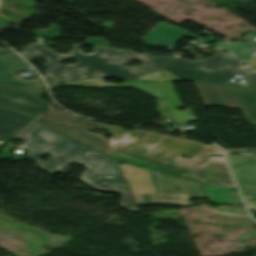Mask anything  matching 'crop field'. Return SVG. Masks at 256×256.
I'll return each mask as SVG.
<instances>
[{
	"label": "crop field",
	"mask_w": 256,
	"mask_h": 256,
	"mask_svg": "<svg viewBox=\"0 0 256 256\" xmlns=\"http://www.w3.org/2000/svg\"><path fill=\"white\" fill-rule=\"evenodd\" d=\"M16 139L26 141L21 148L30 150L28 158L37 161L45 153L54 155L41 169L53 174L64 172L74 161L88 166L79 178L97 190L113 191L124 196L120 207L137 211L117 161L109 159L69 137L35 121ZM138 212V211H137Z\"/></svg>",
	"instance_id": "crop-field-1"
},
{
	"label": "crop field",
	"mask_w": 256,
	"mask_h": 256,
	"mask_svg": "<svg viewBox=\"0 0 256 256\" xmlns=\"http://www.w3.org/2000/svg\"><path fill=\"white\" fill-rule=\"evenodd\" d=\"M102 127L111 129L108 134L112 135L109 140L114 152L112 158L185 178L200 163L179 158L181 154L187 155L190 153L195 160H203L209 153L221 154L216 146L203 145L197 141L168 136L150 155H147L165 135L144 131L146 133L143 137L129 146L143 131L134 130V132H129L106 124H103ZM188 162L189 164H187Z\"/></svg>",
	"instance_id": "crop-field-2"
},
{
	"label": "crop field",
	"mask_w": 256,
	"mask_h": 256,
	"mask_svg": "<svg viewBox=\"0 0 256 256\" xmlns=\"http://www.w3.org/2000/svg\"><path fill=\"white\" fill-rule=\"evenodd\" d=\"M45 45H31L23 48L20 53L26 59L32 61L39 57H46L49 61L43 66L46 72L60 81L88 78L94 76L116 77L134 79L136 77L163 69L151 59L137 54L131 50H117L112 48H94L93 54L80 53V44L74 45L68 55H60L44 48ZM76 59L78 63L71 67L59 64L60 61ZM138 60L143 64L140 67L121 66L132 60ZM63 72L69 73L62 76Z\"/></svg>",
	"instance_id": "crop-field-3"
},
{
	"label": "crop field",
	"mask_w": 256,
	"mask_h": 256,
	"mask_svg": "<svg viewBox=\"0 0 256 256\" xmlns=\"http://www.w3.org/2000/svg\"><path fill=\"white\" fill-rule=\"evenodd\" d=\"M118 163L137 205H185L189 198L206 197L199 182Z\"/></svg>",
	"instance_id": "crop-field-4"
},
{
	"label": "crop field",
	"mask_w": 256,
	"mask_h": 256,
	"mask_svg": "<svg viewBox=\"0 0 256 256\" xmlns=\"http://www.w3.org/2000/svg\"><path fill=\"white\" fill-rule=\"evenodd\" d=\"M196 60L179 59L170 56L154 57L149 52L143 53L155 62L184 79L213 81L227 84L233 75L244 65L220 50L213 48L214 59L205 60L194 52L192 47L185 48Z\"/></svg>",
	"instance_id": "crop-field-5"
},
{
	"label": "crop field",
	"mask_w": 256,
	"mask_h": 256,
	"mask_svg": "<svg viewBox=\"0 0 256 256\" xmlns=\"http://www.w3.org/2000/svg\"><path fill=\"white\" fill-rule=\"evenodd\" d=\"M38 120L109 157L113 154L104 135L89 132L92 128L101 127L103 123L73 116L54 106Z\"/></svg>",
	"instance_id": "crop-field-6"
},
{
	"label": "crop field",
	"mask_w": 256,
	"mask_h": 256,
	"mask_svg": "<svg viewBox=\"0 0 256 256\" xmlns=\"http://www.w3.org/2000/svg\"><path fill=\"white\" fill-rule=\"evenodd\" d=\"M104 78H93L86 80L73 81L63 84H74V85H91V86H103V87H132L135 88L144 94L150 95L156 98V101L159 105L156 109H162L166 117H171L177 121L180 125L187 124L190 120H195L192 114V107H189V110L185 111H176L177 108L182 107L181 103L174 91V87L171 82H164V88L167 92L170 104H168L163 89L160 85L161 82H140L125 80L124 84H103Z\"/></svg>",
	"instance_id": "crop-field-7"
},
{
	"label": "crop field",
	"mask_w": 256,
	"mask_h": 256,
	"mask_svg": "<svg viewBox=\"0 0 256 256\" xmlns=\"http://www.w3.org/2000/svg\"><path fill=\"white\" fill-rule=\"evenodd\" d=\"M191 84L198 89L205 105H220L238 108L242 111V114L248 123L251 125L255 124L250 114L246 110L235 87L196 81H193Z\"/></svg>",
	"instance_id": "crop-field-8"
},
{
	"label": "crop field",
	"mask_w": 256,
	"mask_h": 256,
	"mask_svg": "<svg viewBox=\"0 0 256 256\" xmlns=\"http://www.w3.org/2000/svg\"><path fill=\"white\" fill-rule=\"evenodd\" d=\"M3 49L6 48H0V50ZM27 67L30 66L13 52L0 56V83L6 84L37 98H41L42 94L45 92L41 78H35L19 83H12L4 78L6 74Z\"/></svg>",
	"instance_id": "crop-field-9"
},
{
	"label": "crop field",
	"mask_w": 256,
	"mask_h": 256,
	"mask_svg": "<svg viewBox=\"0 0 256 256\" xmlns=\"http://www.w3.org/2000/svg\"><path fill=\"white\" fill-rule=\"evenodd\" d=\"M20 91V90H19ZM0 84V106L22 111L36 118L50 103ZM33 113L31 115L30 113Z\"/></svg>",
	"instance_id": "crop-field-10"
},
{
	"label": "crop field",
	"mask_w": 256,
	"mask_h": 256,
	"mask_svg": "<svg viewBox=\"0 0 256 256\" xmlns=\"http://www.w3.org/2000/svg\"><path fill=\"white\" fill-rule=\"evenodd\" d=\"M189 178L235 189L234 182L222 157L208 158Z\"/></svg>",
	"instance_id": "crop-field-11"
},
{
	"label": "crop field",
	"mask_w": 256,
	"mask_h": 256,
	"mask_svg": "<svg viewBox=\"0 0 256 256\" xmlns=\"http://www.w3.org/2000/svg\"><path fill=\"white\" fill-rule=\"evenodd\" d=\"M242 192L256 196V157L227 155Z\"/></svg>",
	"instance_id": "crop-field-12"
},
{
	"label": "crop field",
	"mask_w": 256,
	"mask_h": 256,
	"mask_svg": "<svg viewBox=\"0 0 256 256\" xmlns=\"http://www.w3.org/2000/svg\"><path fill=\"white\" fill-rule=\"evenodd\" d=\"M32 120L33 119L22 113L0 108V139H13L28 126Z\"/></svg>",
	"instance_id": "crop-field-13"
},
{
	"label": "crop field",
	"mask_w": 256,
	"mask_h": 256,
	"mask_svg": "<svg viewBox=\"0 0 256 256\" xmlns=\"http://www.w3.org/2000/svg\"><path fill=\"white\" fill-rule=\"evenodd\" d=\"M187 32L189 31L167 22H161L141 41L146 44L172 46L171 43L174 40L182 38V36Z\"/></svg>",
	"instance_id": "crop-field-14"
},
{
	"label": "crop field",
	"mask_w": 256,
	"mask_h": 256,
	"mask_svg": "<svg viewBox=\"0 0 256 256\" xmlns=\"http://www.w3.org/2000/svg\"><path fill=\"white\" fill-rule=\"evenodd\" d=\"M218 48L228 51V54L248 64L249 60L256 51V42H223Z\"/></svg>",
	"instance_id": "crop-field-15"
},
{
	"label": "crop field",
	"mask_w": 256,
	"mask_h": 256,
	"mask_svg": "<svg viewBox=\"0 0 256 256\" xmlns=\"http://www.w3.org/2000/svg\"><path fill=\"white\" fill-rule=\"evenodd\" d=\"M203 184V183H202ZM206 196L215 204H242L237 193L203 184Z\"/></svg>",
	"instance_id": "crop-field-16"
},
{
	"label": "crop field",
	"mask_w": 256,
	"mask_h": 256,
	"mask_svg": "<svg viewBox=\"0 0 256 256\" xmlns=\"http://www.w3.org/2000/svg\"><path fill=\"white\" fill-rule=\"evenodd\" d=\"M239 94L241 95L244 104L256 122V89L236 87ZM227 152H245V153H256V148L252 149H228Z\"/></svg>",
	"instance_id": "crop-field-17"
},
{
	"label": "crop field",
	"mask_w": 256,
	"mask_h": 256,
	"mask_svg": "<svg viewBox=\"0 0 256 256\" xmlns=\"http://www.w3.org/2000/svg\"><path fill=\"white\" fill-rule=\"evenodd\" d=\"M136 79L148 80V81H160V80H172V79H180V78L163 69V70H160Z\"/></svg>",
	"instance_id": "crop-field-18"
},
{
	"label": "crop field",
	"mask_w": 256,
	"mask_h": 256,
	"mask_svg": "<svg viewBox=\"0 0 256 256\" xmlns=\"http://www.w3.org/2000/svg\"><path fill=\"white\" fill-rule=\"evenodd\" d=\"M50 26H51V29L34 31V32H31V33L36 35V36H48L49 38H58V37H60L59 31H58L56 25L53 24V25H50Z\"/></svg>",
	"instance_id": "crop-field-19"
},
{
	"label": "crop field",
	"mask_w": 256,
	"mask_h": 256,
	"mask_svg": "<svg viewBox=\"0 0 256 256\" xmlns=\"http://www.w3.org/2000/svg\"><path fill=\"white\" fill-rule=\"evenodd\" d=\"M245 79H246V84H232V85H240V86H248V87L256 88V72H253L249 76L245 77Z\"/></svg>",
	"instance_id": "crop-field-20"
},
{
	"label": "crop field",
	"mask_w": 256,
	"mask_h": 256,
	"mask_svg": "<svg viewBox=\"0 0 256 256\" xmlns=\"http://www.w3.org/2000/svg\"><path fill=\"white\" fill-rule=\"evenodd\" d=\"M86 44L98 45V46H110V43L107 40L93 39V38H87V43Z\"/></svg>",
	"instance_id": "crop-field-21"
},
{
	"label": "crop field",
	"mask_w": 256,
	"mask_h": 256,
	"mask_svg": "<svg viewBox=\"0 0 256 256\" xmlns=\"http://www.w3.org/2000/svg\"><path fill=\"white\" fill-rule=\"evenodd\" d=\"M246 204L249 208L256 210V197L243 194Z\"/></svg>",
	"instance_id": "crop-field-22"
},
{
	"label": "crop field",
	"mask_w": 256,
	"mask_h": 256,
	"mask_svg": "<svg viewBox=\"0 0 256 256\" xmlns=\"http://www.w3.org/2000/svg\"><path fill=\"white\" fill-rule=\"evenodd\" d=\"M44 77L48 81L49 86L63 85L60 81H58L56 78L52 77L49 74L45 75Z\"/></svg>",
	"instance_id": "crop-field-23"
},
{
	"label": "crop field",
	"mask_w": 256,
	"mask_h": 256,
	"mask_svg": "<svg viewBox=\"0 0 256 256\" xmlns=\"http://www.w3.org/2000/svg\"><path fill=\"white\" fill-rule=\"evenodd\" d=\"M14 145H12L10 143V145L3 151L1 152V155H0V160H5V159H11V157H9V150L13 147Z\"/></svg>",
	"instance_id": "crop-field-24"
},
{
	"label": "crop field",
	"mask_w": 256,
	"mask_h": 256,
	"mask_svg": "<svg viewBox=\"0 0 256 256\" xmlns=\"http://www.w3.org/2000/svg\"><path fill=\"white\" fill-rule=\"evenodd\" d=\"M20 71H22V70H20ZM5 78L10 80V81H12V82H18V81H22L23 80L22 78H19L17 75H15V73H12L10 75H6Z\"/></svg>",
	"instance_id": "crop-field-25"
},
{
	"label": "crop field",
	"mask_w": 256,
	"mask_h": 256,
	"mask_svg": "<svg viewBox=\"0 0 256 256\" xmlns=\"http://www.w3.org/2000/svg\"><path fill=\"white\" fill-rule=\"evenodd\" d=\"M255 36H256V31L249 30L244 37H247L249 41H251V39Z\"/></svg>",
	"instance_id": "crop-field-26"
},
{
	"label": "crop field",
	"mask_w": 256,
	"mask_h": 256,
	"mask_svg": "<svg viewBox=\"0 0 256 256\" xmlns=\"http://www.w3.org/2000/svg\"><path fill=\"white\" fill-rule=\"evenodd\" d=\"M250 71H247V70H244V69H240L237 73H236V75H246V74H248Z\"/></svg>",
	"instance_id": "crop-field-27"
},
{
	"label": "crop field",
	"mask_w": 256,
	"mask_h": 256,
	"mask_svg": "<svg viewBox=\"0 0 256 256\" xmlns=\"http://www.w3.org/2000/svg\"><path fill=\"white\" fill-rule=\"evenodd\" d=\"M250 66L256 69V55H255L254 59L252 60Z\"/></svg>",
	"instance_id": "crop-field-28"
},
{
	"label": "crop field",
	"mask_w": 256,
	"mask_h": 256,
	"mask_svg": "<svg viewBox=\"0 0 256 256\" xmlns=\"http://www.w3.org/2000/svg\"><path fill=\"white\" fill-rule=\"evenodd\" d=\"M11 51H12V50H9V49L0 51V55H1V54H5V53H8V52H11Z\"/></svg>",
	"instance_id": "crop-field-29"
},
{
	"label": "crop field",
	"mask_w": 256,
	"mask_h": 256,
	"mask_svg": "<svg viewBox=\"0 0 256 256\" xmlns=\"http://www.w3.org/2000/svg\"><path fill=\"white\" fill-rule=\"evenodd\" d=\"M161 85H162V83H161ZM162 87H163V85H162ZM164 89V88H163ZM164 92H165V90H164ZM165 94H166V92H165ZM167 97V96H166ZM167 100H168V98H167ZM168 102H169V100H168ZM170 103V102H169Z\"/></svg>",
	"instance_id": "crop-field-30"
},
{
	"label": "crop field",
	"mask_w": 256,
	"mask_h": 256,
	"mask_svg": "<svg viewBox=\"0 0 256 256\" xmlns=\"http://www.w3.org/2000/svg\"><path fill=\"white\" fill-rule=\"evenodd\" d=\"M176 41H177V40H176ZM176 41H174V42L172 43L173 46H174V44H175Z\"/></svg>",
	"instance_id": "crop-field-31"
},
{
	"label": "crop field",
	"mask_w": 256,
	"mask_h": 256,
	"mask_svg": "<svg viewBox=\"0 0 256 256\" xmlns=\"http://www.w3.org/2000/svg\"><path fill=\"white\" fill-rule=\"evenodd\" d=\"M67 73H63V75H66Z\"/></svg>",
	"instance_id": "crop-field-32"
},
{
	"label": "crop field",
	"mask_w": 256,
	"mask_h": 256,
	"mask_svg": "<svg viewBox=\"0 0 256 256\" xmlns=\"http://www.w3.org/2000/svg\"><path fill=\"white\" fill-rule=\"evenodd\" d=\"M81 49H82V46H81ZM81 49H80V51H81Z\"/></svg>",
	"instance_id": "crop-field-33"
},
{
	"label": "crop field",
	"mask_w": 256,
	"mask_h": 256,
	"mask_svg": "<svg viewBox=\"0 0 256 256\" xmlns=\"http://www.w3.org/2000/svg\"><path fill=\"white\" fill-rule=\"evenodd\" d=\"M0 4H1V0H0Z\"/></svg>",
	"instance_id": "crop-field-34"
},
{
	"label": "crop field",
	"mask_w": 256,
	"mask_h": 256,
	"mask_svg": "<svg viewBox=\"0 0 256 256\" xmlns=\"http://www.w3.org/2000/svg\"><path fill=\"white\" fill-rule=\"evenodd\" d=\"M71 66H73V65H71Z\"/></svg>",
	"instance_id": "crop-field-35"
},
{
	"label": "crop field",
	"mask_w": 256,
	"mask_h": 256,
	"mask_svg": "<svg viewBox=\"0 0 256 256\" xmlns=\"http://www.w3.org/2000/svg\"><path fill=\"white\" fill-rule=\"evenodd\" d=\"M46 47V46H45ZM47 48V47H46Z\"/></svg>",
	"instance_id": "crop-field-36"
},
{
	"label": "crop field",
	"mask_w": 256,
	"mask_h": 256,
	"mask_svg": "<svg viewBox=\"0 0 256 256\" xmlns=\"http://www.w3.org/2000/svg\"><path fill=\"white\" fill-rule=\"evenodd\" d=\"M45 59V58H44Z\"/></svg>",
	"instance_id": "crop-field-37"
}]
</instances>
